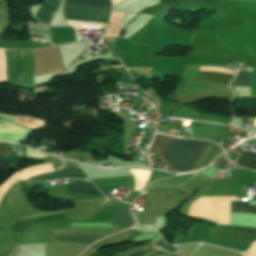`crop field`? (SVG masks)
<instances>
[{"label": "crop field", "mask_w": 256, "mask_h": 256, "mask_svg": "<svg viewBox=\"0 0 256 256\" xmlns=\"http://www.w3.org/2000/svg\"><path fill=\"white\" fill-rule=\"evenodd\" d=\"M143 187H144V186H143ZM143 187H142V188H143ZM141 190H142V189H141ZM141 190H140V191H141Z\"/></svg>", "instance_id": "19"}, {"label": "crop field", "mask_w": 256, "mask_h": 256, "mask_svg": "<svg viewBox=\"0 0 256 256\" xmlns=\"http://www.w3.org/2000/svg\"><path fill=\"white\" fill-rule=\"evenodd\" d=\"M155 246L160 247V248H162V249H165V250H167V251H170V252H172V253H176V252L178 251L177 248L165 244V243L163 242V240L158 241V242L155 244Z\"/></svg>", "instance_id": "17"}, {"label": "crop field", "mask_w": 256, "mask_h": 256, "mask_svg": "<svg viewBox=\"0 0 256 256\" xmlns=\"http://www.w3.org/2000/svg\"><path fill=\"white\" fill-rule=\"evenodd\" d=\"M230 213L256 214V206H248V201L231 202Z\"/></svg>", "instance_id": "10"}, {"label": "crop field", "mask_w": 256, "mask_h": 256, "mask_svg": "<svg viewBox=\"0 0 256 256\" xmlns=\"http://www.w3.org/2000/svg\"><path fill=\"white\" fill-rule=\"evenodd\" d=\"M190 140H184V139H176L174 138L171 144L166 148V150L163 152V156L166 160H168L172 165L176 161V159L179 157L181 152L184 150L186 145L189 143ZM201 140H191L190 143L187 145L185 150L182 152L180 157L177 159V161L174 163V166L181 172L183 167L185 166L186 162L192 155V153L195 151L197 146L200 144ZM207 144L206 141H202V143L199 145V147L196 149V151L193 153L189 161L187 162L186 166L182 170V172L189 171L205 145ZM223 152L217 145L208 142L190 171H193L195 169L201 168L207 163H209L212 159H214L219 153Z\"/></svg>", "instance_id": "1"}, {"label": "crop field", "mask_w": 256, "mask_h": 256, "mask_svg": "<svg viewBox=\"0 0 256 256\" xmlns=\"http://www.w3.org/2000/svg\"><path fill=\"white\" fill-rule=\"evenodd\" d=\"M7 26V10L4 0H0V30H5ZM3 31H0V37ZM50 46L49 43L43 44L35 43L28 44V40H16V39H0V47L4 48H36Z\"/></svg>", "instance_id": "5"}, {"label": "crop field", "mask_w": 256, "mask_h": 256, "mask_svg": "<svg viewBox=\"0 0 256 256\" xmlns=\"http://www.w3.org/2000/svg\"><path fill=\"white\" fill-rule=\"evenodd\" d=\"M208 239L252 243L256 240V230L209 226Z\"/></svg>", "instance_id": "4"}, {"label": "crop field", "mask_w": 256, "mask_h": 256, "mask_svg": "<svg viewBox=\"0 0 256 256\" xmlns=\"http://www.w3.org/2000/svg\"><path fill=\"white\" fill-rule=\"evenodd\" d=\"M165 253H169V252L162 251L153 246H150V247L138 250V251L132 253L130 256H158V255H162Z\"/></svg>", "instance_id": "14"}, {"label": "crop field", "mask_w": 256, "mask_h": 256, "mask_svg": "<svg viewBox=\"0 0 256 256\" xmlns=\"http://www.w3.org/2000/svg\"><path fill=\"white\" fill-rule=\"evenodd\" d=\"M60 178H76V179H86L84 174L77 169H68L56 173L39 175L35 177H31L29 180H54Z\"/></svg>", "instance_id": "7"}, {"label": "crop field", "mask_w": 256, "mask_h": 256, "mask_svg": "<svg viewBox=\"0 0 256 256\" xmlns=\"http://www.w3.org/2000/svg\"><path fill=\"white\" fill-rule=\"evenodd\" d=\"M109 222L123 228L132 227L134 220L129 212V205L120 203L110 217Z\"/></svg>", "instance_id": "6"}, {"label": "crop field", "mask_w": 256, "mask_h": 256, "mask_svg": "<svg viewBox=\"0 0 256 256\" xmlns=\"http://www.w3.org/2000/svg\"><path fill=\"white\" fill-rule=\"evenodd\" d=\"M110 9L65 3L64 14L66 19L107 23Z\"/></svg>", "instance_id": "3"}, {"label": "crop field", "mask_w": 256, "mask_h": 256, "mask_svg": "<svg viewBox=\"0 0 256 256\" xmlns=\"http://www.w3.org/2000/svg\"><path fill=\"white\" fill-rule=\"evenodd\" d=\"M103 236H61V237H56L58 240L62 241H73V242H84V243H89L93 242L97 239L102 238Z\"/></svg>", "instance_id": "13"}, {"label": "crop field", "mask_w": 256, "mask_h": 256, "mask_svg": "<svg viewBox=\"0 0 256 256\" xmlns=\"http://www.w3.org/2000/svg\"><path fill=\"white\" fill-rule=\"evenodd\" d=\"M8 81L33 87L30 50H5Z\"/></svg>", "instance_id": "2"}, {"label": "crop field", "mask_w": 256, "mask_h": 256, "mask_svg": "<svg viewBox=\"0 0 256 256\" xmlns=\"http://www.w3.org/2000/svg\"><path fill=\"white\" fill-rule=\"evenodd\" d=\"M65 2L81 4V5H95V6L111 7L110 0H65Z\"/></svg>", "instance_id": "15"}, {"label": "crop field", "mask_w": 256, "mask_h": 256, "mask_svg": "<svg viewBox=\"0 0 256 256\" xmlns=\"http://www.w3.org/2000/svg\"><path fill=\"white\" fill-rule=\"evenodd\" d=\"M234 86H250V74L240 71Z\"/></svg>", "instance_id": "16"}, {"label": "crop field", "mask_w": 256, "mask_h": 256, "mask_svg": "<svg viewBox=\"0 0 256 256\" xmlns=\"http://www.w3.org/2000/svg\"><path fill=\"white\" fill-rule=\"evenodd\" d=\"M235 75L199 72L196 81H214L229 84Z\"/></svg>", "instance_id": "9"}, {"label": "crop field", "mask_w": 256, "mask_h": 256, "mask_svg": "<svg viewBox=\"0 0 256 256\" xmlns=\"http://www.w3.org/2000/svg\"><path fill=\"white\" fill-rule=\"evenodd\" d=\"M236 165L256 170V153L242 152Z\"/></svg>", "instance_id": "12"}, {"label": "crop field", "mask_w": 256, "mask_h": 256, "mask_svg": "<svg viewBox=\"0 0 256 256\" xmlns=\"http://www.w3.org/2000/svg\"><path fill=\"white\" fill-rule=\"evenodd\" d=\"M0 158H9V144L0 143Z\"/></svg>", "instance_id": "18"}, {"label": "crop field", "mask_w": 256, "mask_h": 256, "mask_svg": "<svg viewBox=\"0 0 256 256\" xmlns=\"http://www.w3.org/2000/svg\"><path fill=\"white\" fill-rule=\"evenodd\" d=\"M170 256H174V255H170Z\"/></svg>", "instance_id": "20"}, {"label": "crop field", "mask_w": 256, "mask_h": 256, "mask_svg": "<svg viewBox=\"0 0 256 256\" xmlns=\"http://www.w3.org/2000/svg\"><path fill=\"white\" fill-rule=\"evenodd\" d=\"M60 0H46L45 5H42L36 18L37 20L49 24Z\"/></svg>", "instance_id": "8"}, {"label": "crop field", "mask_w": 256, "mask_h": 256, "mask_svg": "<svg viewBox=\"0 0 256 256\" xmlns=\"http://www.w3.org/2000/svg\"><path fill=\"white\" fill-rule=\"evenodd\" d=\"M70 191L79 193H90L103 196L91 183H73L68 184Z\"/></svg>", "instance_id": "11"}]
</instances>
